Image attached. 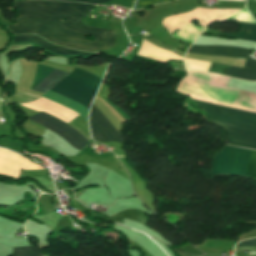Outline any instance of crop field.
<instances>
[{
	"instance_id": "4a817a6b",
	"label": "crop field",
	"mask_w": 256,
	"mask_h": 256,
	"mask_svg": "<svg viewBox=\"0 0 256 256\" xmlns=\"http://www.w3.org/2000/svg\"><path fill=\"white\" fill-rule=\"evenodd\" d=\"M46 256V255H45Z\"/></svg>"
},
{
	"instance_id": "cbeb9de0",
	"label": "crop field",
	"mask_w": 256,
	"mask_h": 256,
	"mask_svg": "<svg viewBox=\"0 0 256 256\" xmlns=\"http://www.w3.org/2000/svg\"><path fill=\"white\" fill-rule=\"evenodd\" d=\"M244 68L256 70V60L252 59L250 56L246 59Z\"/></svg>"
},
{
	"instance_id": "3316defc",
	"label": "crop field",
	"mask_w": 256,
	"mask_h": 256,
	"mask_svg": "<svg viewBox=\"0 0 256 256\" xmlns=\"http://www.w3.org/2000/svg\"><path fill=\"white\" fill-rule=\"evenodd\" d=\"M19 41L33 42V43H35V44H37V45H39L43 48L49 49V50H51L53 52H56V53L65 54V55H74V54L88 55V54H90V53L77 52V51H73V50L53 46V45L47 43L46 41H44L42 38H40L37 35L15 36V40L13 42H19Z\"/></svg>"
},
{
	"instance_id": "733c2abd",
	"label": "crop field",
	"mask_w": 256,
	"mask_h": 256,
	"mask_svg": "<svg viewBox=\"0 0 256 256\" xmlns=\"http://www.w3.org/2000/svg\"><path fill=\"white\" fill-rule=\"evenodd\" d=\"M237 251H249V250H256V247L253 246H241V247H236Z\"/></svg>"
},
{
	"instance_id": "412701ff",
	"label": "crop field",
	"mask_w": 256,
	"mask_h": 256,
	"mask_svg": "<svg viewBox=\"0 0 256 256\" xmlns=\"http://www.w3.org/2000/svg\"><path fill=\"white\" fill-rule=\"evenodd\" d=\"M250 151L251 150L234 146H226L225 149L214 158L212 164L213 175L226 173L245 175ZM246 175L256 178V151L254 150H252L248 160Z\"/></svg>"
},
{
	"instance_id": "f4fd0767",
	"label": "crop field",
	"mask_w": 256,
	"mask_h": 256,
	"mask_svg": "<svg viewBox=\"0 0 256 256\" xmlns=\"http://www.w3.org/2000/svg\"><path fill=\"white\" fill-rule=\"evenodd\" d=\"M29 119L47 127L65 138L70 144L81 150L89 141L68 124L45 113H38Z\"/></svg>"
},
{
	"instance_id": "22f410ed",
	"label": "crop field",
	"mask_w": 256,
	"mask_h": 256,
	"mask_svg": "<svg viewBox=\"0 0 256 256\" xmlns=\"http://www.w3.org/2000/svg\"><path fill=\"white\" fill-rule=\"evenodd\" d=\"M12 256H43L33 246L13 248Z\"/></svg>"
},
{
	"instance_id": "28ad6ade",
	"label": "crop field",
	"mask_w": 256,
	"mask_h": 256,
	"mask_svg": "<svg viewBox=\"0 0 256 256\" xmlns=\"http://www.w3.org/2000/svg\"><path fill=\"white\" fill-rule=\"evenodd\" d=\"M222 22H234V21L223 20ZM235 23L241 24V30L239 34H224L219 32L218 36L246 39V40H251L256 42V25L255 24H247L243 22H235Z\"/></svg>"
},
{
	"instance_id": "e52e79f7",
	"label": "crop field",
	"mask_w": 256,
	"mask_h": 256,
	"mask_svg": "<svg viewBox=\"0 0 256 256\" xmlns=\"http://www.w3.org/2000/svg\"><path fill=\"white\" fill-rule=\"evenodd\" d=\"M26 169H44L41 166L30 162L28 159L10 152L6 149H0V173L18 177L21 170Z\"/></svg>"
},
{
	"instance_id": "34b2d1b8",
	"label": "crop field",
	"mask_w": 256,
	"mask_h": 256,
	"mask_svg": "<svg viewBox=\"0 0 256 256\" xmlns=\"http://www.w3.org/2000/svg\"><path fill=\"white\" fill-rule=\"evenodd\" d=\"M68 76L75 78L79 81H82V82H84L92 87H95L97 89L102 80L101 78H99L95 75H92L84 70L78 69V68H74V70ZM68 76L66 78H64L63 80H61L57 85L65 88L69 91H72L76 94H79L89 100H92V98L96 92V89H94L86 84H83L75 79H72ZM51 90L65 96V97H68V98L84 105L85 107H87L89 109V105L91 103L90 101H88L74 93H71L67 90H64L56 85L54 87H52ZM51 90H49L45 95H43V97L79 113L86 121H88V112H89L88 109H86L84 106H82L68 98H65Z\"/></svg>"
},
{
	"instance_id": "ac0d7876",
	"label": "crop field",
	"mask_w": 256,
	"mask_h": 256,
	"mask_svg": "<svg viewBox=\"0 0 256 256\" xmlns=\"http://www.w3.org/2000/svg\"><path fill=\"white\" fill-rule=\"evenodd\" d=\"M195 101L205 107L212 122L226 127L231 145L256 149V112Z\"/></svg>"
},
{
	"instance_id": "8a807250",
	"label": "crop field",
	"mask_w": 256,
	"mask_h": 256,
	"mask_svg": "<svg viewBox=\"0 0 256 256\" xmlns=\"http://www.w3.org/2000/svg\"><path fill=\"white\" fill-rule=\"evenodd\" d=\"M14 6L18 20L9 29L16 34L34 33L53 43L84 51L107 49L115 44L114 31L78 24L94 5L21 1ZM63 18L67 22L63 23ZM85 35H92L97 41H88Z\"/></svg>"
},
{
	"instance_id": "d1516ede",
	"label": "crop field",
	"mask_w": 256,
	"mask_h": 256,
	"mask_svg": "<svg viewBox=\"0 0 256 256\" xmlns=\"http://www.w3.org/2000/svg\"><path fill=\"white\" fill-rule=\"evenodd\" d=\"M226 76H232L244 80L256 81V72L230 66Z\"/></svg>"
},
{
	"instance_id": "5a996713",
	"label": "crop field",
	"mask_w": 256,
	"mask_h": 256,
	"mask_svg": "<svg viewBox=\"0 0 256 256\" xmlns=\"http://www.w3.org/2000/svg\"><path fill=\"white\" fill-rule=\"evenodd\" d=\"M188 52L206 54V55H222L230 57H238L245 59L246 56L253 53L252 50H248L240 47L233 46H196L192 45Z\"/></svg>"
},
{
	"instance_id": "dd49c442",
	"label": "crop field",
	"mask_w": 256,
	"mask_h": 256,
	"mask_svg": "<svg viewBox=\"0 0 256 256\" xmlns=\"http://www.w3.org/2000/svg\"><path fill=\"white\" fill-rule=\"evenodd\" d=\"M90 128L92 137L100 142L116 141L123 143V138L119 131L93 104L90 113Z\"/></svg>"
},
{
	"instance_id": "5142ce71",
	"label": "crop field",
	"mask_w": 256,
	"mask_h": 256,
	"mask_svg": "<svg viewBox=\"0 0 256 256\" xmlns=\"http://www.w3.org/2000/svg\"><path fill=\"white\" fill-rule=\"evenodd\" d=\"M68 1H81V2L99 4V3H103V2H106V1H109V0H68Z\"/></svg>"
},
{
	"instance_id": "d8731c3e",
	"label": "crop field",
	"mask_w": 256,
	"mask_h": 256,
	"mask_svg": "<svg viewBox=\"0 0 256 256\" xmlns=\"http://www.w3.org/2000/svg\"><path fill=\"white\" fill-rule=\"evenodd\" d=\"M51 67L39 65L36 63L34 82L32 90L42 80V78L49 72ZM69 72L61 71L52 68L50 72L43 78V80L36 86L35 91L44 94L46 93L57 81L64 78Z\"/></svg>"
},
{
	"instance_id": "d9b57169",
	"label": "crop field",
	"mask_w": 256,
	"mask_h": 256,
	"mask_svg": "<svg viewBox=\"0 0 256 256\" xmlns=\"http://www.w3.org/2000/svg\"><path fill=\"white\" fill-rule=\"evenodd\" d=\"M241 245H254V246H256V239L242 241V242L237 244V246H241Z\"/></svg>"
}]
</instances>
